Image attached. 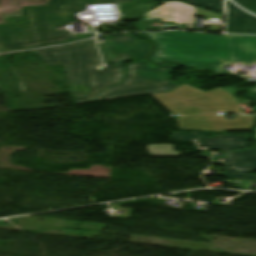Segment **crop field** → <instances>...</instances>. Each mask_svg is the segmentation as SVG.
I'll return each instance as SVG.
<instances>
[{
  "label": "crop field",
  "instance_id": "8a807250",
  "mask_svg": "<svg viewBox=\"0 0 256 256\" xmlns=\"http://www.w3.org/2000/svg\"><path fill=\"white\" fill-rule=\"evenodd\" d=\"M105 63L115 68L97 70L102 63L94 39L64 45L33 49L44 65H64L72 100L78 104L153 94L172 90L169 74L178 66H155L147 61L136 62L124 70V61L149 55L151 47L133 36L107 39L99 44Z\"/></svg>",
  "mask_w": 256,
  "mask_h": 256
},
{
  "label": "crop field",
  "instance_id": "ac0d7876",
  "mask_svg": "<svg viewBox=\"0 0 256 256\" xmlns=\"http://www.w3.org/2000/svg\"><path fill=\"white\" fill-rule=\"evenodd\" d=\"M160 44L150 58L160 63L172 61L197 70L212 69L226 73L228 64L256 62V36H211L198 33H143Z\"/></svg>",
  "mask_w": 256,
  "mask_h": 256
},
{
  "label": "crop field",
  "instance_id": "34b2d1b8",
  "mask_svg": "<svg viewBox=\"0 0 256 256\" xmlns=\"http://www.w3.org/2000/svg\"><path fill=\"white\" fill-rule=\"evenodd\" d=\"M135 0H53L49 7L23 8L25 24L0 25V52L63 43L77 36L58 28L74 21L87 4Z\"/></svg>",
  "mask_w": 256,
  "mask_h": 256
},
{
  "label": "crop field",
  "instance_id": "412701ff",
  "mask_svg": "<svg viewBox=\"0 0 256 256\" xmlns=\"http://www.w3.org/2000/svg\"><path fill=\"white\" fill-rule=\"evenodd\" d=\"M152 96L172 113L195 114L177 119L179 128L226 131L248 130L255 125V116H238L236 120H225L224 116L211 113L226 111L243 114L236 99L219 88L204 92L185 85L172 92Z\"/></svg>",
  "mask_w": 256,
  "mask_h": 256
},
{
  "label": "crop field",
  "instance_id": "f4fd0767",
  "mask_svg": "<svg viewBox=\"0 0 256 256\" xmlns=\"http://www.w3.org/2000/svg\"><path fill=\"white\" fill-rule=\"evenodd\" d=\"M207 133L208 132L202 131H174L170 137L181 141H190L195 144L198 151H232L239 148H246L247 141L250 139L249 134L244 136H234L228 134L206 138Z\"/></svg>",
  "mask_w": 256,
  "mask_h": 256
},
{
  "label": "crop field",
  "instance_id": "dd49c442",
  "mask_svg": "<svg viewBox=\"0 0 256 256\" xmlns=\"http://www.w3.org/2000/svg\"><path fill=\"white\" fill-rule=\"evenodd\" d=\"M224 153L226 157L212 160L213 163L226 164L225 178L256 180V175H242L256 170V148Z\"/></svg>",
  "mask_w": 256,
  "mask_h": 256
},
{
  "label": "crop field",
  "instance_id": "e52e79f7",
  "mask_svg": "<svg viewBox=\"0 0 256 256\" xmlns=\"http://www.w3.org/2000/svg\"><path fill=\"white\" fill-rule=\"evenodd\" d=\"M228 7V28L227 33L256 34V17L236 8L230 1Z\"/></svg>",
  "mask_w": 256,
  "mask_h": 256
},
{
  "label": "crop field",
  "instance_id": "d8731c3e",
  "mask_svg": "<svg viewBox=\"0 0 256 256\" xmlns=\"http://www.w3.org/2000/svg\"><path fill=\"white\" fill-rule=\"evenodd\" d=\"M151 156L181 157L182 153L174 151L172 144H154L146 146Z\"/></svg>",
  "mask_w": 256,
  "mask_h": 256
},
{
  "label": "crop field",
  "instance_id": "5a996713",
  "mask_svg": "<svg viewBox=\"0 0 256 256\" xmlns=\"http://www.w3.org/2000/svg\"><path fill=\"white\" fill-rule=\"evenodd\" d=\"M153 3L145 4H120L123 20H137V14L144 9H150Z\"/></svg>",
  "mask_w": 256,
  "mask_h": 256
},
{
  "label": "crop field",
  "instance_id": "3316defc",
  "mask_svg": "<svg viewBox=\"0 0 256 256\" xmlns=\"http://www.w3.org/2000/svg\"><path fill=\"white\" fill-rule=\"evenodd\" d=\"M179 1L223 14L222 0H179Z\"/></svg>",
  "mask_w": 256,
  "mask_h": 256
},
{
  "label": "crop field",
  "instance_id": "28ad6ade",
  "mask_svg": "<svg viewBox=\"0 0 256 256\" xmlns=\"http://www.w3.org/2000/svg\"><path fill=\"white\" fill-rule=\"evenodd\" d=\"M242 7L256 13V0H234Z\"/></svg>",
  "mask_w": 256,
  "mask_h": 256
},
{
  "label": "crop field",
  "instance_id": "d1516ede",
  "mask_svg": "<svg viewBox=\"0 0 256 256\" xmlns=\"http://www.w3.org/2000/svg\"><path fill=\"white\" fill-rule=\"evenodd\" d=\"M197 15L203 16V17H208V18H220L224 19L222 15H218L215 13H211L202 9L197 8Z\"/></svg>",
  "mask_w": 256,
  "mask_h": 256
},
{
  "label": "crop field",
  "instance_id": "22f410ed",
  "mask_svg": "<svg viewBox=\"0 0 256 256\" xmlns=\"http://www.w3.org/2000/svg\"><path fill=\"white\" fill-rule=\"evenodd\" d=\"M247 97H249V98H256V93L255 94H249Z\"/></svg>",
  "mask_w": 256,
  "mask_h": 256
},
{
  "label": "crop field",
  "instance_id": "cbeb9de0",
  "mask_svg": "<svg viewBox=\"0 0 256 256\" xmlns=\"http://www.w3.org/2000/svg\"><path fill=\"white\" fill-rule=\"evenodd\" d=\"M250 92H256V85L253 89L250 90Z\"/></svg>",
  "mask_w": 256,
  "mask_h": 256
}]
</instances>
